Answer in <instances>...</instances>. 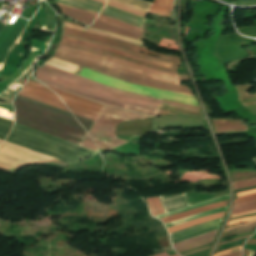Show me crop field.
Masks as SVG:
<instances>
[{"label": "crop field", "instance_id": "27", "mask_svg": "<svg viewBox=\"0 0 256 256\" xmlns=\"http://www.w3.org/2000/svg\"><path fill=\"white\" fill-rule=\"evenodd\" d=\"M240 250H241V246H237V247H233V248L226 249V250L220 251L218 253H215L214 256L229 254V253H233V252L240 251Z\"/></svg>", "mask_w": 256, "mask_h": 256}, {"label": "crop field", "instance_id": "14", "mask_svg": "<svg viewBox=\"0 0 256 256\" xmlns=\"http://www.w3.org/2000/svg\"><path fill=\"white\" fill-rule=\"evenodd\" d=\"M172 5L173 0H154L149 13L169 17Z\"/></svg>", "mask_w": 256, "mask_h": 256}, {"label": "crop field", "instance_id": "34", "mask_svg": "<svg viewBox=\"0 0 256 256\" xmlns=\"http://www.w3.org/2000/svg\"><path fill=\"white\" fill-rule=\"evenodd\" d=\"M240 254H241V251H240V252H237V253L225 255V256H240Z\"/></svg>", "mask_w": 256, "mask_h": 256}, {"label": "crop field", "instance_id": "37", "mask_svg": "<svg viewBox=\"0 0 256 256\" xmlns=\"http://www.w3.org/2000/svg\"><path fill=\"white\" fill-rule=\"evenodd\" d=\"M157 256H168L167 255V253L166 252H164V253H162V254H160V255H157ZM173 256H179L178 254H176V255H173Z\"/></svg>", "mask_w": 256, "mask_h": 256}, {"label": "crop field", "instance_id": "31", "mask_svg": "<svg viewBox=\"0 0 256 256\" xmlns=\"http://www.w3.org/2000/svg\"><path fill=\"white\" fill-rule=\"evenodd\" d=\"M254 254H255V251H251L243 248V256H253Z\"/></svg>", "mask_w": 256, "mask_h": 256}, {"label": "crop field", "instance_id": "5", "mask_svg": "<svg viewBox=\"0 0 256 256\" xmlns=\"http://www.w3.org/2000/svg\"><path fill=\"white\" fill-rule=\"evenodd\" d=\"M57 5L61 8L62 13L74 18L75 20L83 24L90 25L97 16V13L83 10L71 5L62 4V3H57ZM92 28H96V29H100V30L136 38V39H139L142 33V30L140 28L106 17L101 14H99V16L96 18L95 22L92 25Z\"/></svg>", "mask_w": 256, "mask_h": 256}, {"label": "crop field", "instance_id": "11", "mask_svg": "<svg viewBox=\"0 0 256 256\" xmlns=\"http://www.w3.org/2000/svg\"><path fill=\"white\" fill-rule=\"evenodd\" d=\"M101 14L107 15L109 17L121 20L123 22L135 25L137 27L142 26L143 18H140L138 16L126 13L124 11L112 8L110 6L105 5L101 11Z\"/></svg>", "mask_w": 256, "mask_h": 256}, {"label": "crop field", "instance_id": "9", "mask_svg": "<svg viewBox=\"0 0 256 256\" xmlns=\"http://www.w3.org/2000/svg\"><path fill=\"white\" fill-rule=\"evenodd\" d=\"M223 219V218H222ZM222 219H218L215 221H211V222H207V223H203L185 230H181L178 232H174V233H170V238H171V242L176 243L206 232H209L211 230L217 229L219 228Z\"/></svg>", "mask_w": 256, "mask_h": 256}, {"label": "crop field", "instance_id": "22", "mask_svg": "<svg viewBox=\"0 0 256 256\" xmlns=\"http://www.w3.org/2000/svg\"><path fill=\"white\" fill-rule=\"evenodd\" d=\"M217 230H218V229H217ZM217 230H214V231H212V232L206 233V234H204V235H201V236H198V237L189 239V240H185V241H182V242L173 244L172 246H173L174 249H176V248H179V247H181V246L190 244V243H192V242H195V241H198V240H201V239H204V238H208V237L214 236V235L216 234Z\"/></svg>", "mask_w": 256, "mask_h": 256}, {"label": "crop field", "instance_id": "28", "mask_svg": "<svg viewBox=\"0 0 256 256\" xmlns=\"http://www.w3.org/2000/svg\"><path fill=\"white\" fill-rule=\"evenodd\" d=\"M252 220H256V216L248 217V218H244V219H239V220H235V221H231V222L228 223L227 226L235 225V224H239V223H243V222H248V221H252Z\"/></svg>", "mask_w": 256, "mask_h": 256}, {"label": "crop field", "instance_id": "15", "mask_svg": "<svg viewBox=\"0 0 256 256\" xmlns=\"http://www.w3.org/2000/svg\"><path fill=\"white\" fill-rule=\"evenodd\" d=\"M226 203H227V201L212 204V205H208V206H204V207L197 208V209H194V210H191V211H187V212L175 214V215H172V216L160 218V220H162L163 223L173 221V220H177V219H180V218L192 215V214H196V213L203 212V211H206V210H210V209H213V208H216V207L224 206V205H226Z\"/></svg>", "mask_w": 256, "mask_h": 256}, {"label": "crop field", "instance_id": "16", "mask_svg": "<svg viewBox=\"0 0 256 256\" xmlns=\"http://www.w3.org/2000/svg\"><path fill=\"white\" fill-rule=\"evenodd\" d=\"M224 213L225 212L216 213V214H213V215L201 218V219H197V220L185 223V224H181V225H178V226H175V227H172V228H168L167 230L170 233V232H173V231H177V230H180V229H183V228H186V227H190V226L205 222V221L222 218L224 216Z\"/></svg>", "mask_w": 256, "mask_h": 256}, {"label": "crop field", "instance_id": "19", "mask_svg": "<svg viewBox=\"0 0 256 256\" xmlns=\"http://www.w3.org/2000/svg\"><path fill=\"white\" fill-rule=\"evenodd\" d=\"M24 82H25V79L20 78L12 87L8 89L9 91H11L8 95L4 93L0 95V100L4 102L11 101L12 97L17 93V91L21 88Z\"/></svg>", "mask_w": 256, "mask_h": 256}, {"label": "crop field", "instance_id": "2", "mask_svg": "<svg viewBox=\"0 0 256 256\" xmlns=\"http://www.w3.org/2000/svg\"><path fill=\"white\" fill-rule=\"evenodd\" d=\"M36 77L37 80L41 82L88 97L107 105L152 115H156L161 103H170L199 109L196 106L124 92L46 64H44L42 69H37Z\"/></svg>", "mask_w": 256, "mask_h": 256}, {"label": "crop field", "instance_id": "33", "mask_svg": "<svg viewBox=\"0 0 256 256\" xmlns=\"http://www.w3.org/2000/svg\"><path fill=\"white\" fill-rule=\"evenodd\" d=\"M255 212H256V210H253V211H250V212H246V213H242V214H237V215L230 216V218L236 217V216H240V215H243V214L255 213Z\"/></svg>", "mask_w": 256, "mask_h": 256}, {"label": "crop field", "instance_id": "23", "mask_svg": "<svg viewBox=\"0 0 256 256\" xmlns=\"http://www.w3.org/2000/svg\"><path fill=\"white\" fill-rule=\"evenodd\" d=\"M232 184H233L234 190L245 188V187H250V186H255L256 185V178L242 180V181L234 182Z\"/></svg>", "mask_w": 256, "mask_h": 256}, {"label": "crop field", "instance_id": "17", "mask_svg": "<svg viewBox=\"0 0 256 256\" xmlns=\"http://www.w3.org/2000/svg\"><path fill=\"white\" fill-rule=\"evenodd\" d=\"M225 200H227V195L217 197V198H214V199H211V200L199 203V204H195V205H192V206H189V207L182 208V209H178V210H174V211L167 212V213H164V214H160V215H157L155 217L160 218V217H164V216H167V215H171V214L191 210V209L197 208V207L202 206V205L216 203V202L225 201Z\"/></svg>", "mask_w": 256, "mask_h": 256}, {"label": "crop field", "instance_id": "10", "mask_svg": "<svg viewBox=\"0 0 256 256\" xmlns=\"http://www.w3.org/2000/svg\"><path fill=\"white\" fill-rule=\"evenodd\" d=\"M105 4L106 0H95ZM107 5L124 10L126 12L145 17L150 4L140 0H108Z\"/></svg>", "mask_w": 256, "mask_h": 256}, {"label": "crop field", "instance_id": "26", "mask_svg": "<svg viewBox=\"0 0 256 256\" xmlns=\"http://www.w3.org/2000/svg\"><path fill=\"white\" fill-rule=\"evenodd\" d=\"M255 228H256V226L251 227V228H247V229H242V230H237V231L225 233L222 238L228 237V236H233V235H238V234H242V233H246V232H249V231H253V230H255Z\"/></svg>", "mask_w": 256, "mask_h": 256}, {"label": "crop field", "instance_id": "4", "mask_svg": "<svg viewBox=\"0 0 256 256\" xmlns=\"http://www.w3.org/2000/svg\"><path fill=\"white\" fill-rule=\"evenodd\" d=\"M50 89H52V88H50ZM52 90H54L55 93L58 94L61 97V99L65 102V104L69 107L81 110L83 112H86V113H89V114H92V115H95V116H97L100 109L102 108V105H99V104H96V103H93V102L75 97L73 95H70V94L55 90V89H52ZM21 92L63 104L61 102V100L59 99V97L55 93L51 92L49 89H47L45 86H43L41 84L37 85V84L32 83L31 80L27 81V83L25 84V86H24V88L22 89ZM19 95H22V96H25L27 98L45 103L47 105L62 109V110L67 111V112L71 111L72 113H74L76 115L82 116V117L90 119L92 121H94V119H95V116L83 113L81 111H78V110H75V109H72V108H69L70 109V111H69L66 106L61 105V104H57V103H54V102H51V101H47V100H44V99H40V98H37V97H33V96L21 94V93H19Z\"/></svg>", "mask_w": 256, "mask_h": 256}, {"label": "crop field", "instance_id": "1", "mask_svg": "<svg viewBox=\"0 0 256 256\" xmlns=\"http://www.w3.org/2000/svg\"><path fill=\"white\" fill-rule=\"evenodd\" d=\"M63 23L65 26H69V27H73V28L85 31L84 27L70 24V23H67L64 21H63ZM65 26H64V33H66V34L78 36L81 38H85V39H89V40H93V41H97V42L106 43V44H109V45H112L115 47L123 48V49L129 50V51H132V52H136V53H139L138 51L146 52L148 54H153V55H158V56L163 57L160 59L179 62L177 57L155 54L153 52H150L148 50H145L143 48H140V47H137V46L125 43V42H121V41H118L115 39L106 38L107 36L102 37L104 35L98 36L101 34L95 33L93 31H90L87 29H86L87 32L95 33L98 35L79 31V30L72 29V28L65 27ZM66 34H64V35L75 38V39H79L82 41L91 42V43L115 48V47H112V46H109L106 44L96 43V42L88 41L85 39H81V38L66 35ZM64 38L70 39L72 41H75V42H78L81 44L91 46L93 48L99 49L101 51H104V52H107V53H110V54H113V55H116V56H119L122 58H125L127 60H130L132 62L141 64V65L166 69V70H170V71H174V72H175V68L177 66V65H174V64H177L175 62L153 59V58H150V57H152L150 55H146V56H150V57L143 56L145 54L139 55L142 53L136 54V53H132V52L120 49V50L129 52V53H132L134 55L148 58L151 60L167 62V63H174V64L150 61V60L140 58V57L131 55L129 53H126V52H123L120 50H115V49H111V48H107V47H103V46H99V45H95V44H91V43H86V42L78 41V40L68 38V37H64ZM64 38L62 39L61 43L59 44V46L57 48V52L54 56H57V57L65 59V60L89 67L91 69L115 76L117 78H120V79H123L126 81L139 83V84H143V85H147V86H152V87H156V88H161V89L193 96L191 91L187 87L179 85L177 76L173 72L137 65V64L131 63L129 61L117 58L115 56H112V55L100 52L98 50L86 47L84 45L74 43V42L66 40ZM119 48H116V49H119ZM136 50H138V51H136ZM154 58H157V57H154Z\"/></svg>", "mask_w": 256, "mask_h": 256}, {"label": "crop field", "instance_id": "8", "mask_svg": "<svg viewBox=\"0 0 256 256\" xmlns=\"http://www.w3.org/2000/svg\"><path fill=\"white\" fill-rule=\"evenodd\" d=\"M27 21L18 17L13 26L6 25L0 33V62L3 61L8 49L25 28Z\"/></svg>", "mask_w": 256, "mask_h": 256}, {"label": "crop field", "instance_id": "30", "mask_svg": "<svg viewBox=\"0 0 256 256\" xmlns=\"http://www.w3.org/2000/svg\"><path fill=\"white\" fill-rule=\"evenodd\" d=\"M252 193H256V189L255 190H251V191L239 192V193H236V194H237V197L239 198L241 196L252 194Z\"/></svg>", "mask_w": 256, "mask_h": 256}, {"label": "crop field", "instance_id": "35", "mask_svg": "<svg viewBox=\"0 0 256 256\" xmlns=\"http://www.w3.org/2000/svg\"><path fill=\"white\" fill-rule=\"evenodd\" d=\"M245 244H256V240H248Z\"/></svg>", "mask_w": 256, "mask_h": 256}, {"label": "crop field", "instance_id": "20", "mask_svg": "<svg viewBox=\"0 0 256 256\" xmlns=\"http://www.w3.org/2000/svg\"><path fill=\"white\" fill-rule=\"evenodd\" d=\"M253 209H256V200L233 205L232 214L249 211V210H253Z\"/></svg>", "mask_w": 256, "mask_h": 256}, {"label": "crop field", "instance_id": "25", "mask_svg": "<svg viewBox=\"0 0 256 256\" xmlns=\"http://www.w3.org/2000/svg\"><path fill=\"white\" fill-rule=\"evenodd\" d=\"M253 225H256V221L243 223V224H239V225H235V226H230V227L226 228L224 232L236 230V229L247 227V226H253Z\"/></svg>", "mask_w": 256, "mask_h": 256}, {"label": "crop field", "instance_id": "13", "mask_svg": "<svg viewBox=\"0 0 256 256\" xmlns=\"http://www.w3.org/2000/svg\"><path fill=\"white\" fill-rule=\"evenodd\" d=\"M159 198L166 212L189 206V203L187 202L184 194Z\"/></svg>", "mask_w": 256, "mask_h": 256}, {"label": "crop field", "instance_id": "3", "mask_svg": "<svg viewBox=\"0 0 256 256\" xmlns=\"http://www.w3.org/2000/svg\"><path fill=\"white\" fill-rule=\"evenodd\" d=\"M151 118L127 111L106 108L98 118L89 135L101 153L127 142L131 137L115 136V126L119 122ZM82 147L99 152L90 138H85Z\"/></svg>", "mask_w": 256, "mask_h": 256}, {"label": "crop field", "instance_id": "32", "mask_svg": "<svg viewBox=\"0 0 256 256\" xmlns=\"http://www.w3.org/2000/svg\"><path fill=\"white\" fill-rule=\"evenodd\" d=\"M250 236H251V235H247V236L239 237V238L234 239V240H231V241H227V242L219 243L217 246H219V245H223V244H226V243H230V242H233V241H237V240H240V239L248 238V237H250Z\"/></svg>", "mask_w": 256, "mask_h": 256}, {"label": "crop field", "instance_id": "21", "mask_svg": "<svg viewBox=\"0 0 256 256\" xmlns=\"http://www.w3.org/2000/svg\"><path fill=\"white\" fill-rule=\"evenodd\" d=\"M153 216L163 213V208L158 197L146 199Z\"/></svg>", "mask_w": 256, "mask_h": 256}, {"label": "crop field", "instance_id": "7", "mask_svg": "<svg viewBox=\"0 0 256 256\" xmlns=\"http://www.w3.org/2000/svg\"><path fill=\"white\" fill-rule=\"evenodd\" d=\"M1 142L2 141H0V143ZM47 159H52V158L28 151L26 149H23V148H20V147H17V146H14V145H11V144H8L5 142H3L0 145V167H3L5 169L11 170V171H13L19 165H22V164H25L28 162L47 160ZM48 161H53V162L61 164L63 166L68 165L63 162L57 161L55 159L47 160V161H40V162H33V163L25 164V165L48 162ZM25 165H22V166H25ZM22 166H19V167H22ZM19 167H17L13 172L5 170L3 168H0V169L14 174Z\"/></svg>", "mask_w": 256, "mask_h": 256}, {"label": "crop field", "instance_id": "6", "mask_svg": "<svg viewBox=\"0 0 256 256\" xmlns=\"http://www.w3.org/2000/svg\"><path fill=\"white\" fill-rule=\"evenodd\" d=\"M79 75L118 89L135 92L147 96H152L160 99H168L180 103L198 106L194 98L123 82L85 68H83Z\"/></svg>", "mask_w": 256, "mask_h": 256}, {"label": "crop field", "instance_id": "24", "mask_svg": "<svg viewBox=\"0 0 256 256\" xmlns=\"http://www.w3.org/2000/svg\"><path fill=\"white\" fill-rule=\"evenodd\" d=\"M215 237V236H214ZM214 237H211V238H208V239H204V240H201V241H198V242H195V243H192L190 245H187V246H184V247H181L179 249H176L178 252L180 251H184V250H187V249H190V248H194V247H197V246H200V245H203V244H206L208 242H211L214 240Z\"/></svg>", "mask_w": 256, "mask_h": 256}, {"label": "crop field", "instance_id": "39", "mask_svg": "<svg viewBox=\"0 0 256 256\" xmlns=\"http://www.w3.org/2000/svg\"><path fill=\"white\" fill-rule=\"evenodd\" d=\"M254 160L256 161V158Z\"/></svg>", "mask_w": 256, "mask_h": 256}, {"label": "crop field", "instance_id": "18", "mask_svg": "<svg viewBox=\"0 0 256 256\" xmlns=\"http://www.w3.org/2000/svg\"><path fill=\"white\" fill-rule=\"evenodd\" d=\"M225 208H226V206L221 207V208H217V209H213V210H210V211H207V212H204V213L192 215V216H189V217H186V218L174 221V222L166 223L165 226H166V228L172 227V226H175V225H178V224H181V223H185V222L197 219V218L202 217V216H206V215H210V214H213V213H216V212L224 211Z\"/></svg>", "mask_w": 256, "mask_h": 256}, {"label": "crop field", "instance_id": "36", "mask_svg": "<svg viewBox=\"0 0 256 256\" xmlns=\"http://www.w3.org/2000/svg\"><path fill=\"white\" fill-rule=\"evenodd\" d=\"M210 247H211V246H210ZM210 247L202 248V249L196 250V251H194V252H197V251H200V250H204V249H208V248H210ZM194 252H191V253H194ZM191 253H188V254H191ZM188 254H186V255H188ZM183 256H185V255H183Z\"/></svg>", "mask_w": 256, "mask_h": 256}, {"label": "crop field", "instance_id": "29", "mask_svg": "<svg viewBox=\"0 0 256 256\" xmlns=\"http://www.w3.org/2000/svg\"><path fill=\"white\" fill-rule=\"evenodd\" d=\"M251 199H256V194L248 195V196H244L242 198L236 199L233 204L243 202V201H247V200H251Z\"/></svg>", "mask_w": 256, "mask_h": 256}, {"label": "crop field", "instance_id": "12", "mask_svg": "<svg viewBox=\"0 0 256 256\" xmlns=\"http://www.w3.org/2000/svg\"><path fill=\"white\" fill-rule=\"evenodd\" d=\"M213 124L216 133L228 131H247L248 127L245 126L240 120L226 119H213Z\"/></svg>", "mask_w": 256, "mask_h": 256}, {"label": "crop field", "instance_id": "38", "mask_svg": "<svg viewBox=\"0 0 256 256\" xmlns=\"http://www.w3.org/2000/svg\"><path fill=\"white\" fill-rule=\"evenodd\" d=\"M5 24L0 23V31L4 28Z\"/></svg>", "mask_w": 256, "mask_h": 256}]
</instances>
